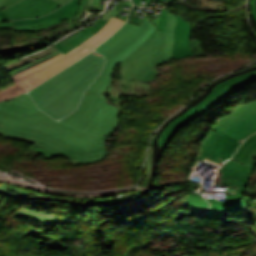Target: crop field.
I'll return each mask as SVG.
<instances>
[{
    "label": "crop field",
    "instance_id": "obj_1",
    "mask_svg": "<svg viewBox=\"0 0 256 256\" xmlns=\"http://www.w3.org/2000/svg\"><path fill=\"white\" fill-rule=\"evenodd\" d=\"M0 134L36 143L72 163H93L106 155L104 137L55 122L26 93L0 103Z\"/></svg>",
    "mask_w": 256,
    "mask_h": 256
},
{
    "label": "crop field",
    "instance_id": "obj_2",
    "mask_svg": "<svg viewBox=\"0 0 256 256\" xmlns=\"http://www.w3.org/2000/svg\"><path fill=\"white\" fill-rule=\"evenodd\" d=\"M152 26L146 16L140 26L125 23L111 38L95 49L106 58L104 70L88 88L77 110L60 120L61 122L104 137L110 133L115 125V111L103 103L100 92L109 81L112 61L146 35Z\"/></svg>",
    "mask_w": 256,
    "mask_h": 256
},
{
    "label": "crop field",
    "instance_id": "obj_3",
    "mask_svg": "<svg viewBox=\"0 0 256 256\" xmlns=\"http://www.w3.org/2000/svg\"><path fill=\"white\" fill-rule=\"evenodd\" d=\"M103 62L104 57L92 51L28 93L40 110L61 119L78 106L85 90L100 73Z\"/></svg>",
    "mask_w": 256,
    "mask_h": 256
},
{
    "label": "crop field",
    "instance_id": "obj_4",
    "mask_svg": "<svg viewBox=\"0 0 256 256\" xmlns=\"http://www.w3.org/2000/svg\"><path fill=\"white\" fill-rule=\"evenodd\" d=\"M124 22L121 19L111 18L94 36L81 43L73 51L64 54L58 50L13 72L10 71L9 75L15 84L0 91V102L34 88L45 79L82 58L113 34Z\"/></svg>",
    "mask_w": 256,
    "mask_h": 256
},
{
    "label": "crop field",
    "instance_id": "obj_5",
    "mask_svg": "<svg viewBox=\"0 0 256 256\" xmlns=\"http://www.w3.org/2000/svg\"><path fill=\"white\" fill-rule=\"evenodd\" d=\"M256 158V134L248 137L243 145L219 170V177L215 183L230 184L236 188L235 195L226 196V201L206 198L211 203L209 210H235L251 207L242 193L251 179ZM247 190V189H246ZM244 194V193H243ZM250 201V200H249Z\"/></svg>",
    "mask_w": 256,
    "mask_h": 256
},
{
    "label": "crop field",
    "instance_id": "obj_6",
    "mask_svg": "<svg viewBox=\"0 0 256 256\" xmlns=\"http://www.w3.org/2000/svg\"><path fill=\"white\" fill-rule=\"evenodd\" d=\"M154 27L152 30L144 36L141 40H139L135 45H133L130 49L126 52L121 54L113 61V66L110 75V81L108 86L111 83V76L114 70V67L119 62L123 61L120 67V74L121 78H133L141 81H153L155 76L159 74V70L153 65V58L154 55L160 45V36L158 31H154ZM107 86V87H108ZM106 87V88H107ZM106 88L102 91L101 96L107 104L105 96H103V92ZM108 105V104H107ZM116 110V126L112 130V132L106 137L110 138L112 133L115 131L118 121V111L115 106L109 105Z\"/></svg>",
    "mask_w": 256,
    "mask_h": 256
},
{
    "label": "crop field",
    "instance_id": "obj_7",
    "mask_svg": "<svg viewBox=\"0 0 256 256\" xmlns=\"http://www.w3.org/2000/svg\"><path fill=\"white\" fill-rule=\"evenodd\" d=\"M256 79V72L252 71L246 75L224 81L215 86L213 91L206 97V99L199 105L191 108L186 113L172 121L160 136V146L163 149L169 141L176 129L192 118L203 113L207 108L213 106L234 92L242 89L243 87L251 84ZM178 130V129H177Z\"/></svg>",
    "mask_w": 256,
    "mask_h": 256
},
{
    "label": "crop field",
    "instance_id": "obj_8",
    "mask_svg": "<svg viewBox=\"0 0 256 256\" xmlns=\"http://www.w3.org/2000/svg\"><path fill=\"white\" fill-rule=\"evenodd\" d=\"M240 144L229 135L213 127L212 134L206 137L200 147L201 154L199 153L198 159L207 165L219 168L233 155Z\"/></svg>",
    "mask_w": 256,
    "mask_h": 256
},
{
    "label": "crop field",
    "instance_id": "obj_9",
    "mask_svg": "<svg viewBox=\"0 0 256 256\" xmlns=\"http://www.w3.org/2000/svg\"><path fill=\"white\" fill-rule=\"evenodd\" d=\"M215 127L242 143L248 135L256 132V102L237 107L230 116L220 119Z\"/></svg>",
    "mask_w": 256,
    "mask_h": 256
},
{
    "label": "crop field",
    "instance_id": "obj_10",
    "mask_svg": "<svg viewBox=\"0 0 256 256\" xmlns=\"http://www.w3.org/2000/svg\"><path fill=\"white\" fill-rule=\"evenodd\" d=\"M79 1L80 0H71L69 3L44 17L12 21L14 26L11 28L22 31L43 30L52 24L60 23L65 19L75 16L78 12Z\"/></svg>",
    "mask_w": 256,
    "mask_h": 256
},
{
    "label": "crop field",
    "instance_id": "obj_11",
    "mask_svg": "<svg viewBox=\"0 0 256 256\" xmlns=\"http://www.w3.org/2000/svg\"><path fill=\"white\" fill-rule=\"evenodd\" d=\"M61 4L54 0H21L3 10L11 20L20 18H34L46 15Z\"/></svg>",
    "mask_w": 256,
    "mask_h": 256
},
{
    "label": "crop field",
    "instance_id": "obj_12",
    "mask_svg": "<svg viewBox=\"0 0 256 256\" xmlns=\"http://www.w3.org/2000/svg\"><path fill=\"white\" fill-rule=\"evenodd\" d=\"M164 10L167 13V26L164 33L160 32L162 45L154 60V64L156 66L170 59H173V42L176 26V16L167 11L166 9Z\"/></svg>",
    "mask_w": 256,
    "mask_h": 256
},
{
    "label": "crop field",
    "instance_id": "obj_13",
    "mask_svg": "<svg viewBox=\"0 0 256 256\" xmlns=\"http://www.w3.org/2000/svg\"><path fill=\"white\" fill-rule=\"evenodd\" d=\"M176 16L177 27L175 32L174 58L179 59L194 56L189 42L191 25L183 20L181 16Z\"/></svg>",
    "mask_w": 256,
    "mask_h": 256
},
{
    "label": "crop field",
    "instance_id": "obj_14",
    "mask_svg": "<svg viewBox=\"0 0 256 256\" xmlns=\"http://www.w3.org/2000/svg\"><path fill=\"white\" fill-rule=\"evenodd\" d=\"M114 83H115V80L112 79V83L108 87V89L104 92V95H110L111 96L113 104L116 105V107L119 110V115L121 113V106H120L119 96L121 94H126L125 93V91H126L125 89L126 88L129 89L128 91L133 92L132 96H139L140 94L134 92L136 90V89H134V84L135 83H137V85H139L138 88H140V89H143V88L147 89V92H148L149 86H150L149 84L143 83L141 81L133 80V79H121L120 80L121 86H119V87H122L123 92L119 94L118 91L114 90V87H113Z\"/></svg>",
    "mask_w": 256,
    "mask_h": 256
},
{
    "label": "crop field",
    "instance_id": "obj_15",
    "mask_svg": "<svg viewBox=\"0 0 256 256\" xmlns=\"http://www.w3.org/2000/svg\"><path fill=\"white\" fill-rule=\"evenodd\" d=\"M15 216L18 218L43 223V224H51V225H64V224H71L69 221H59L51 216L44 215L35 211H31L28 209L20 208L16 211Z\"/></svg>",
    "mask_w": 256,
    "mask_h": 256
},
{
    "label": "crop field",
    "instance_id": "obj_16",
    "mask_svg": "<svg viewBox=\"0 0 256 256\" xmlns=\"http://www.w3.org/2000/svg\"><path fill=\"white\" fill-rule=\"evenodd\" d=\"M92 35H94V34L83 29V30H80V31L72 34L71 36L65 38L64 40L58 42L57 44H55L53 46H55L59 50L66 53V52L76 48L78 45H80L81 42H83L87 38L91 37Z\"/></svg>",
    "mask_w": 256,
    "mask_h": 256
},
{
    "label": "crop field",
    "instance_id": "obj_17",
    "mask_svg": "<svg viewBox=\"0 0 256 256\" xmlns=\"http://www.w3.org/2000/svg\"><path fill=\"white\" fill-rule=\"evenodd\" d=\"M181 206L207 208L209 207V203L198 193H192L183 199Z\"/></svg>",
    "mask_w": 256,
    "mask_h": 256
},
{
    "label": "crop field",
    "instance_id": "obj_18",
    "mask_svg": "<svg viewBox=\"0 0 256 256\" xmlns=\"http://www.w3.org/2000/svg\"><path fill=\"white\" fill-rule=\"evenodd\" d=\"M209 7L219 11H225L227 9L223 0H201L200 8Z\"/></svg>",
    "mask_w": 256,
    "mask_h": 256
},
{
    "label": "crop field",
    "instance_id": "obj_19",
    "mask_svg": "<svg viewBox=\"0 0 256 256\" xmlns=\"http://www.w3.org/2000/svg\"><path fill=\"white\" fill-rule=\"evenodd\" d=\"M192 49L195 56L204 55V51L198 41H191Z\"/></svg>",
    "mask_w": 256,
    "mask_h": 256
},
{
    "label": "crop field",
    "instance_id": "obj_20",
    "mask_svg": "<svg viewBox=\"0 0 256 256\" xmlns=\"http://www.w3.org/2000/svg\"><path fill=\"white\" fill-rule=\"evenodd\" d=\"M30 149L38 151V152L46 155L47 157L57 156V154H54V153H52V152H50V151H48V150H46V149H44V148H42V147H40L38 145H35V144Z\"/></svg>",
    "mask_w": 256,
    "mask_h": 256
},
{
    "label": "crop field",
    "instance_id": "obj_21",
    "mask_svg": "<svg viewBox=\"0 0 256 256\" xmlns=\"http://www.w3.org/2000/svg\"><path fill=\"white\" fill-rule=\"evenodd\" d=\"M47 44H49V42L39 41V42H35V43L24 44V47H25L26 50H29V49H33V48L43 46V45H47Z\"/></svg>",
    "mask_w": 256,
    "mask_h": 256
},
{
    "label": "crop field",
    "instance_id": "obj_22",
    "mask_svg": "<svg viewBox=\"0 0 256 256\" xmlns=\"http://www.w3.org/2000/svg\"><path fill=\"white\" fill-rule=\"evenodd\" d=\"M17 1H19V0H6L5 2H3V3L0 5V8L7 7V6H9V5H11V4H13V3H15V2H17ZM56 1H58V2H60V3H62V4H64V3L68 2L69 0H56ZM62 4H61V5H62Z\"/></svg>",
    "mask_w": 256,
    "mask_h": 256
},
{
    "label": "crop field",
    "instance_id": "obj_23",
    "mask_svg": "<svg viewBox=\"0 0 256 256\" xmlns=\"http://www.w3.org/2000/svg\"><path fill=\"white\" fill-rule=\"evenodd\" d=\"M154 139V137H153ZM152 139V141H153ZM152 141H151V147L147 158V167H146V176L149 177V171H150V165H151V156H152Z\"/></svg>",
    "mask_w": 256,
    "mask_h": 256
},
{
    "label": "crop field",
    "instance_id": "obj_24",
    "mask_svg": "<svg viewBox=\"0 0 256 256\" xmlns=\"http://www.w3.org/2000/svg\"><path fill=\"white\" fill-rule=\"evenodd\" d=\"M250 7H251V15L256 23V0H250Z\"/></svg>",
    "mask_w": 256,
    "mask_h": 256
},
{
    "label": "crop field",
    "instance_id": "obj_25",
    "mask_svg": "<svg viewBox=\"0 0 256 256\" xmlns=\"http://www.w3.org/2000/svg\"><path fill=\"white\" fill-rule=\"evenodd\" d=\"M134 9H135V7H133L129 18L127 19V22H130V23H134V24H138V25H139L140 22H141V19H137V18L132 17V14H133Z\"/></svg>",
    "mask_w": 256,
    "mask_h": 256
},
{
    "label": "crop field",
    "instance_id": "obj_26",
    "mask_svg": "<svg viewBox=\"0 0 256 256\" xmlns=\"http://www.w3.org/2000/svg\"><path fill=\"white\" fill-rule=\"evenodd\" d=\"M9 17L4 11H1L0 9V22L9 21Z\"/></svg>",
    "mask_w": 256,
    "mask_h": 256
},
{
    "label": "crop field",
    "instance_id": "obj_27",
    "mask_svg": "<svg viewBox=\"0 0 256 256\" xmlns=\"http://www.w3.org/2000/svg\"><path fill=\"white\" fill-rule=\"evenodd\" d=\"M10 26H12V23H4V24H0V28H10Z\"/></svg>",
    "mask_w": 256,
    "mask_h": 256
},
{
    "label": "crop field",
    "instance_id": "obj_28",
    "mask_svg": "<svg viewBox=\"0 0 256 256\" xmlns=\"http://www.w3.org/2000/svg\"><path fill=\"white\" fill-rule=\"evenodd\" d=\"M138 1H139V0H134V1H133V4H134V5H137Z\"/></svg>",
    "mask_w": 256,
    "mask_h": 256
},
{
    "label": "crop field",
    "instance_id": "obj_29",
    "mask_svg": "<svg viewBox=\"0 0 256 256\" xmlns=\"http://www.w3.org/2000/svg\"><path fill=\"white\" fill-rule=\"evenodd\" d=\"M4 0H0V4L3 2Z\"/></svg>",
    "mask_w": 256,
    "mask_h": 256
},
{
    "label": "crop field",
    "instance_id": "obj_30",
    "mask_svg": "<svg viewBox=\"0 0 256 256\" xmlns=\"http://www.w3.org/2000/svg\"><path fill=\"white\" fill-rule=\"evenodd\" d=\"M169 1H171V0H168L167 2H169ZM167 2H166V3H167Z\"/></svg>",
    "mask_w": 256,
    "mask_h": 256
}]
</instances>
